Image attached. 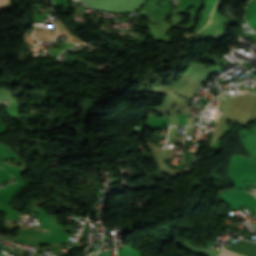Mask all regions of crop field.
Returning a JSON list of instances; mask_svg holds the SVG:
<instances>
[{"instance_id":"2","label":"crop field","mask_w":256,"mask_h":256,"mask_svg":"<svg viewBox=\"0 0 256 256\" xmlns=\"http://www.w3.org/2000/svg\"><path fill=\"white\" fill-rule=\"evenodd\" d=\"M9 0H0V8L6 3L8 2Z\"/></svg>"},{"instance_id":"1","label":"crop field","mask_w":256,"mask_h":256,"mask_svg":"<svg viewBox=\"0 0 256 256\" xmlns=\"http://www.w3.org/2000/svg\"><path fill=\"white\" fill-rule=\"evenodd\" d=\"M219 256H241V255L234 254V253H231V252H228V251H221Z\"/></svg>"}]
</instances>
